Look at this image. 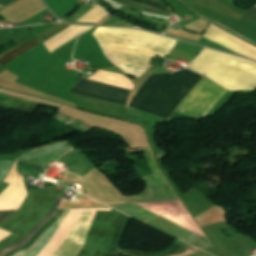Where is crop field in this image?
Segmentation results:
<instances>
[{
	"label": "crop field",
	"mask_w": 256,
	"mask_h": 256,
	"mask_svg": "<svg viewBox=\"0 0 256 256\" xmlns=\"http://www.w3.org/2000/svg\"><path fill=\"white\" fill-rule=\"evenodd\" d=\"M244 16L256 22V8L253 7L250 11L245 13Z\"/></svg>",
	"instance_id": "15"
},
{
	"label": "crop field",
	"mask_w": 256,
	"mask_h": 256,
	"mask_svg": "<svg viewBox=\"0 0 256 256\" xmlns=\"http://www.w3.org/2000/svg\"><path fill=\"white\" fill-rule=\"evenodd\" d=\"M12 164L13 161H0V182L4 179Z\"/></svg>",
	"instance_id": "13"
},
{
	"label": "crop field",
	"mask_w": 256,
	"mask_h": 256,
	"mask_svg": "<svg viewBox=\"0 0 256 256\" xmlns=\"http://www.w3.org/2000/svg\"><path fill=\"white\" fill-rule=\"evenodd\" d=\"M204 38L256 61V47L211 24Z\"/></svg>",
	"instance_id": "7"
},
{
	"label": "crop field",
	"mask_w": 256,
	"mask_h": 256,
	"mask_svg": "<svg viewBox=\"0 0 256 256\" xmlns=\"http://www.w3.org/2000/svg\"><path fill=\"white\" fill-rule=\"evenodd\" d=\"M152 212H155L167 219H170L184 227H187L201 235L204 233L185 209L181 201L165 204H138Z\"/></svg>",
	"instance_id": "6"
},
{
	"label": "crop field",
	"mask_w": 256,
	"mask_h": 256,
	"mask_svg": "<svg viewBox=\"0 0 256 256\" xmlns=\"http://www.w3.org/2000/svg\"><path fill=\"white\" fill-rule=\"evenodd\" d=\"M93 37L107 59L126 75L139 77L150 66V58L167 56L177 40L136 29L98 27Z\"/></svg>",
	"instance_id": "2"
},
{
	"label": "crop field",
	"mask_w": 256,
	"mask_h": 256,
	"mask_svg": "<svg viewBox=\"0 0 256 256\" xmlns=\"http://www.w3.org/2000/svg\"><path fill=\"white\" fill-rule=\"evenodd\" d=\"M132 91L109 86L85 79H81L71 89L70 93L98 99L101 101L126 107L127 100Z\"/></svg>",
	"instance_id": "5"
},
{
	"label": "crop field",
	"mask_w": 256,
	"mask_h": 256,
	"mask_svg": "<svg viewBox=\"0 0 256 256\" xmlns=\"http://www.w3.org/2000/svg\"><path fill=\"white\" fill-rule=\"evenodd\" d=\"M40 44V41L37 37L17 46L16 48L8 51L7 53L0 56V64H5L10 60L14 59L15 57L21 55L22 53L28 51L29 49L33 48L34 46Z\"/></svg>",
	"instance_id": "10"
},
{
	"label": "crop field",
	"mask_w": 256,
	"mask_h": 256,
	"mask_svg": "<svg viewBox=\"0 0 256 256\" xmlns=\"http://www.w3.org/2000/svg\"><path fill=\"white\" fill-rule=\"evenodd\" d=\"M71 145L67 141L57 142L52 145L38 147L20 155L16 160L33 159L48 155L62 154L70 151Z\"/></svg>",
	"instance_id": "8"
},
{
	"label": "crop field",
	"mask_w": 256,
	"mask_h": 256,
	"mask_svg": "<svg viewBox=\"0 0 256 256\" xmlns=\"http://www.w3.org/2000/svg\"><path fill=\"white\" fill-rule=\"evenodd\" d=\"M60 199L61 198H58V200L56 201V203L54 204V206H53V208H52V210H51V212L20 242V243H18V244H16V245H14V246H12V247H10V248H8V249H6V250H4V251H2V252H0V256L1 255H3L4 253H6L7 251H9V250H11V249H13V248H15V247H18V246H20V245H22V244H24L25 242H27L28 241V239H29V237L55 212V210H56V208H57V206H58V203H59V201H60Z\"/></svg>",
	"instance_id": "11"
},
{
	"label": "crop field",
	"mask_w": 256,
	"mask_h": 256,
	"mask_svg": "<svg viewBox=\"0 0 256 256\" xmlns=\"http://www.w3.org/2000/svg\"><path fill=\"white\" fill-rule=\"evenodd\" d=\"M17 0H0V4L3 6L9 5Z\"/></svg>",
	"instance_id": "17"
},
{
	"label": "crop field",
	"mask_w": 256,
	"mask_h": 256,
	"mask_svg": "<svg viewBox=\"0 0 256 256\" xmlns=\"http://www.w3.org/2000/svg\"><path fill=\"white\" fill-rule=\"evenodd\" d=\"M85 208L71 209L57 234L39 256H52ZM97 210H110V208H86L82 216L64 239L53 256H77L82 249L91 222Z\"/></svg>",
	"instance_id": "4"
},
{
	"label": "crop field",
	"mask_w": 256,
	"mask_h": 256,
	"mask_svg": "<svg viewBox=\"0 0 256 256\" xmlns=\"http://www.w3.org/2000/svg\"><path fill=\"white\" fill-rule=\"evenodd\" d=\"M68 26L69 25H65L63 23H57L56 25L52 26L48 30L40 33L38 36H40L42 38L43 42H44L47 39H49L50 37H52L55 34H57L58 32H60L61 30L65 29Z\"/></svg>",
	"instance_id": "12"
},
{
	"label": "crop field",
	"mask_w": 256,
	"mask_h": 256,
	"mask_svg": "<svg viewBox=\"0 0 256 256\" xmlns=\"http://www.w3.org/2000/svg\"><path fill=\"white\" fill-rule=\"evenodd\" d=\"M114 1L121 3L123 5H126V6L134 7L139 10L170 16V14H169L170 10L156 0H132V1L144 4L147 6H151V7H154V8L169 12V13L162 12V11H159V10H156V9H153V8H150V7H147V6H144V5L129 1V0H114Z\"/></svg>",
	"instance_id": "9"
},
{
	"label": "crop field",
	"mask_w": 256,
	"mask_h": 256,
	"mask_svg": "<svg viewBox=\"0 0 256 256\" xmlns=\"http://www.w3.org/2000/svg\"><path fill=\"white\" fill-rule=\"evenodd\" d=\"M16 211H3L0 212V224L4 222L7 218H9Z\"/></svg>",
	"instance_id": "14"
},
{
	"label": "crop field",
	"mask_w": 256,
	"mask_h": 256,
	"mask_svg": "<svg viewBox=\"0 0 256 256\" xmlns=\"http://www.w3.org/2000/svg\"><path fill=\"white\" fill-rule=\"evenodd\" d=\"M233 91L256 87V63L247 59L205 49L188 67Z\"/></svg>",
	"instance_id": "3"
},
{
	"label": "crop field",
	"mask_w": 256,
	"mask_h": 256,
	"mask_svg": "<svg viewBox=\"0 0 256 256\" xmlns=\"http://www.w3.org/2000/svg\"><path fill=\"white\" fill-rule=\"evenodd\" d=\"M18 237L19 236H16V235L13 234V235L9 236L8 238L4 239L3 241L0 242V248H2L3 246H5L9 242L15 240Z\"/></svg>",
	"instance_id": "16"
},
{
	"label": "crop field",
	"mask_w": 256,
	"mask_h": 256,
	"mask_svg": "<svg viewBox=\"0 0 256 256\" xmlns=\"http://www.w3.org/2000/svg\"><path fill=\"white\" fill-rule=\"evenodd\" d=\"M256 7V6H255Z\"/></svg>",
	"instance_id": "18"
},
{
	"label": "crop field",
	"mask_w": 256,
	"mask_h": 256,
	"mask_svg": "<svg viewBox=\"0 0 256 256\" xmlns=\"http://www.w3.org/2000/svg\"><path fill=\"white\" fill-rule=\"evenodd\" d=\"M173 73L150 75L127 106L168 119L203 77L188 70ZM226 93L204 77L184 99L177 112L203 118Z\"/></svg>",
	"instance_id": "1"
}]
</instances>
